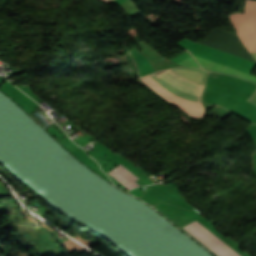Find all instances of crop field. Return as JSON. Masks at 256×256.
I'll use <instances>...</instances> for the list:
<instances>
[{
	"label": "crop field",
	"instance_id": "crop-field-7",
	"mask_svg": "<svg viewBox=\"0 0 256 256\" xmlns=\"http://www.w3.org/2000/svg\"><path fill=\"white\" fill-rule=\"evenodd\" d=\"M246 101L256 106V89Z\"/></svg>",
	"mask_w": 256,
	"mask_h": 256
},
{
	"label": "crop field",
	"instance_id": "crop-field-3",
	"mask_svg": "<svg viewBox=\"0 0 256 256\" xmlns=\"http://www.w3.org/2000/svg\"><path fill=\"white\" fill-rule=\"evenodd\" d=\"M219 256H241L198 221L184 228Z\"/></svg>",
	"mask_w": 256,
	"mask_h": 256
},
{
	"label": "crop field",
	"instance_id": "crop-field-1",
	"mask_svg": "<svg viewBox=\"0 0 256 256\" xmlns=\"http://www.w3.org/2000/svg\"><path fill=\"white\" fill-rule=\"evenodd\" d=\"M176 44L186 49L196 60L197 64L204 69L222 71L256 82V77L250 75L251 71L256 66V63L187 39H183Z\"/></svg>",
	"mask_w": 256,
	"mask_h": 256
},
{
	"label": "crop field",
	"instance_id": "crop-field-4",
	"mask_svg": "<svg viewBox=\"0 0 256 256\" xmlns=\"http://www.w3.org/2000/svg\"><path fill=\"white\" fill-rule=\"evenodd\" d=\"M171 70H172V69H171ZM174 70H175L176 72H178V73H180V74H182V75H184V76L190 78V79L197 80V81H200V82H203V83L205 82L206 75H207V72H208V71H204V70L187 69V68H175ZM172 71H173V70H172ZM175 71H173V72H175ZM176 72H175V73H176ZM178 73H176V74H178ZM180 74H178V75H180ZM152 75L155 77V79H156L159 83H161L163 86L167 87L168 89L172 90L173 92H175V93H177V94H180V95H183V96L193 97V98H199V99H200V97H195V96L187 95V94H184V93H182V92H180V91H177V90H175V89H173V88L167 86L166 84L162 83L161 81H159V80L156 78V76H155L154 73H152ZM152 75L150 74V75H148V76H149L157 85H159V86H160L161 88H163L164 90H166V91H168V92H170V93H172V94H174V95H176V96H180V95H177V94L171 92V91L168 90L167 88L163 87L161 84H159V83L153 78ZM182 75H180V76H182ZM182 77H183V76H182ZM184 78H185V77H184ZM186 79H187V78H186ZM190 79H188V80H190ZM193 80H192V81H193ZM200 82H199V83H200ZM183 96H180V97H183ZM187 97H184V98H187ZM193 98H188V99H192V100H196V101H200V102H201V100H199V99H193ZM188 99H187V100H188Z\"/></svg>",
	"mask_w": 256,
	"mask_h": 256
},
{
	"label": "crop field",
	"instance_id": "crop-field-9",
	"mask_svg": "<svg viewBox=\"0 0 256 256\" xmlns=\"http://www.w3.org/2000/svg\"><path fill=\"white\" fill-rule=\"evenodd\" d=\"M104 1H106L107 3L110 2L109 0H104Z\"/></svg>",
	"mask_w": 256,
	"mask_h": 256
},
{
	"label": "crop field",
	"instance_id": "crop-field-2",
	"mask_svg": "<svg viewBox=\"0 0 256 256\" xmlns=\"http://www.w3.org/2000/svg\"><path fill=\"white\" fill-rule=\"evenodd\" d=\"M245 15L256 35V1L246 0ZM245 15L237 13L228 16L244 46L249 52H253L256 51V37L253 34Z\"/></svg>",
	"mask_w": 256,
	"mask_h": 256
},
{
	"label": "crop field",
	"instance_id": "crop-field-5",
	"mask_svg": "<svg viewBox=\"0 0 256 256\" xmlns=\"http://www.w3.org/2000/svg\"><path fill=\"white\" fill-rule=\"evenodd\" d=\"M114 177H116L118 180H120L123 184H125L130 189L140 186L135 181L139 178L136 177L132 172H130L126 167H124L122 164L116 167L114 170L109 172Z\"/></svg>",
	"mask_w": 256,
	"mask_h": 256
},
{
	"label": "crop field",
	"instance_id": "crop-field-8",
	"mask_svg": "<svg viewBox=\"0 0 256 256\" xmlns=\"http://www.w3.org/2000/svg\"><path fill=\"white\" fill-rule=\"evenodd\" d=\"M251 54L256 59V53H251Z\"/></svg>",
	"mask_w": 256,
	"mask_h": 256
},
{
	"label": "crop field",
	"instance_id": "crop-field-6",
	"mask_svg": "<svg viewBox=\"0 0 256 256\" xmlns=\"http://www.w3.org/2000/svg\"><path fill=\"white\" fill-rule=\"evenodd\" d=\"M174 63L184 66V67H193V68H198L200 69L195 61L192 59L191 55L188 52H184L183 54H180L176 56L174 59H172Z\"/></svg>",
	"mask_w": 256,
	"mask_h": 256
}]
</instances>
